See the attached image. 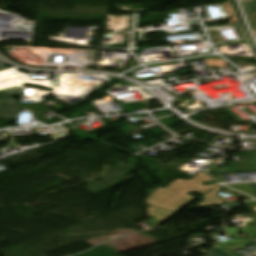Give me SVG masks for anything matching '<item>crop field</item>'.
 I'll list each match as a JSON object with an SVG mask.
<instances>
[{
  "label": "crop field",
  "mask_w": 256,
  "mask_h": 256,
  "mask_svg": "<svg viewBox=\"0 0 256 256\" xmlns=\"http://www.w3.org/2000/svg\"><path fill=\"white\" fill-rule=\"evenodd\" d=\"M208 181L213 182L214 185L202 186V184ZM216 185L218 184L213 181L206 172H200L189 181L177 179L171 182L167 186V188L165 187L166 189L159 187L157 190L149 195L145 202L148 205L177 212L193 200L192 197L186 193L199 192L204 194Z\"/></svg>",
  "instance_id": "1"
},
{
  "label": "crop field",
  "mask_w": 256,
  "mask_h": 256,
  "mask_svg": "<svg viewBox=\"0 0 256 256\" xmlns=\"http://www.w3.org/2000/svg\"><path fill=\"white\" fill-rule=\"evenodd\" d=\"M23 88L17 87L0 91V120L8 119L17 121L19 102L14 96H22Z\"/></svg>",
  "instance_id": "2"
},
{
  "label": "crop field",
  "mask_w": 256,
  "mask_h": 256,
  "mask_svg": "<svg viewBox=\"0 0 256 256\" xmlns=\"http://www.w3.org/2000/svg\"><path fill=\"white\" fill-rule=\"evenodd\" d=\"M221 190V187L218 185L206 194L202 196L203 200L201 203H199L200 207H207V206H213V205H219L223 204V200H221L219 197L216 196V193Z\"/></svg>",
  "instance_id": "3"
},
{
  "label": "crop field",
  "mask_w": 256,
  "mask_h": 256,
  "mask_svg": "<svg viewBox=\"0 0 256 256\" xmlns=\"http://www.w3.org/2000/svg\"><path fill=\"white\" fill-rule=\"evenodd\" d=\"M174 213L175 212L163 210V209L152 207V206L148 207V214L152 218L158 220L159 223L163 222L164 220H166L168 217H170Z\"/></svg>",
  "instance_id": "4"
},
{
  "label": "crop field",
  "mask_w": 256,
  "mask_h": 256,
  "mask_svg": "<svg viewBox=\"0 0 256 256\" xmlns=\"http://www.w3.org/2000/svg\"><path fill=\"white\" fill-rule=\"evenodd\" d=\"M247 154L252 155L254 157L244 165L237 167L235 169L256 168V152H248Z\"/></svg>",
  "instance_id": "5"
},
{
  "label": "crop field",
  "mask_w": 256,
  "mask_h": 256,
  "mask_svg": "<svg viewBox=\"0 0 256 256\" xmlns=\"http://www.w3.org/2000/svg\"><path fill=\"white\" fill-rule=\"evenodd\" d=\"M206 256H232V255L214 246Z\"/></svg>",
  "instance_id": "6"
},
{
  "label": "crop field",
  "mask_w": 256,
  "mask_h": 256,
  "mask_svg": "<svg viewBox=\"0 0 256 256\" xmlns=\"http://www.w3.org/2000/svg\"><path fill=\"white\" fill-rule=\"evenodd\" d=\"M247 14L256 13V0H250L245 4Z\"/></svg>",
  "instance_id": "7"
},
{
  "label": "crop field",
  "mask_w": 256,
  "mask_h": 256,
  "mask_svg": "<svg viewBox=\"0 0 256 256\" xmlns=\"http://www.w3.org/2000/svg\"><path fill=\"white\" fill-rule=\"evenodd\" d=\"M253 191L256 193V184H250Z\"/></svg>",
  "instance_id": "8"
},
{
  "label": "crop field",
  "mask_w": 256,
  "mask_h": 256,
  "mask_svg": "<svg viewBox=\"0 0 256 256\" xmlns=\"http://www.w3.org/2000/svg\"><path fill=\"white\" fill-rule=\"evenodd\" d=\"M6 69L5 67H3V65L0 64V70H4Z\"/></svg>",
  "instance_id": "9"
},
{
  "label": "crop field",
  "mask_w": 256,
  "mask_h": 256,
  "mask_svg": "<svg viewBox=\"0 0 256 256\" xmlns=\"http://www.w3.org/2000/svg\"><path fill=\"white\" fill-rule=\"evenodd\" d=\"M21 1H23V0H21Z\"/></svg>",
  "instance_id": "10"
},
{
  "label": "crop field",
  "mask_w": 256,
  "mask_h": 256,
  "mask_svg": "<svg viewBox=\"0 0 256 256\" xmlns=\"http://www.w3.org/2000/svg\"><path fill=\"white\" fill-rule=\"evenodd\" d=\"M256 255V254H255Z\"/></svg>",
  "instance_id": "11"
}]
</instances>
